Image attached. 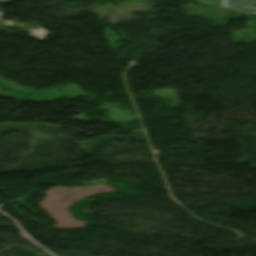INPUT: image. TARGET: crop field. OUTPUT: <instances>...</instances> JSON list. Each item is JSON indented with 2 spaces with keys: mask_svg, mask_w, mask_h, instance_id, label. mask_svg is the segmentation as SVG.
I'll list each match as a JSON object with an SVG mask.
<instances>
[{
  "mask_svg": "<svg viewBox=\"0 0 256 256\" xmlns=\"http://www.w3.org/2000/svg\"><path fill=\"white\" fill-rule=\"evenodd\" d=\"M7 1H11V0H0V2H7Z\"/></svg>",
  "mask_w": 256,
  "mask_h": 256,
  "instance_id": "crop-field-3",
  "label": "crop field"
},
{
  "mask_svg": "<svg viewBox=\"0 0 256 256\" xmlns=\"http://www.w3.org/2000/svg\"><path fill=\"white\" fill-rule=\"evenodd\" d=\"M255 1L256 0H227L226 4L228 8L234 12L256 14V8H250Z\"/></svg>",
  "mask_w": 256,
  "mask_h": 256,
  "instance_id": "crop-field-1",
  "label": "crop field"
},
{
  "mask_svg": "<svg viewBox=\"0 0 256 256\" xmlns=\"http://www.w3.org/2000/svg\"><path fill=\"white\" fill-rule=\"evenodd\" d=\"M205 5H214V6H220L225 7L224 0H197Z\"/></svg>",
  "mask_w": 256,
  "mask_h": 256,
  "instance_id": "crop-field-2",
  "label": "crop field"
}]
</instances>
